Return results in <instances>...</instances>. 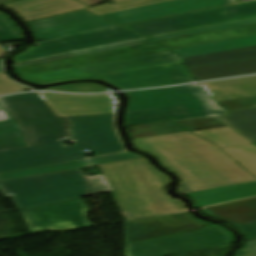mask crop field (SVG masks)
<instances>
[{"label":"crop field","instance_id":"d3111659","mask_svg":"<svg viewBox=\"0 0 256 256\" xmlns=\"http://www.w3.org/2000/svg\"><path fill=\"white\" fill-rule=\"evenodd\" d=\"M222 150L256 175V147L245 145Z\"/></svg>","mask_w":256,"mask_h":256},{"label":"crop field","instance_id":"f4fd0767","mask_svg":"<svg viewBox=\"0 0 256 256\" xmlns=\"http://www.w3.org/2000/svg\"><path fill=\"white\" fill-rule=\"evenodd\" d=\"M231 3L230 0H178L101 16L121 25ZM27 25L32 30L36 42L118 26L86 10Z\"/></svg>","mask_w":256,"mask_h":256},{"label":"crop field","instance_id":"412701ff","mask_svg":"<svg viewBox=\"0 0 256 256\" xmlns=\"http://www.w3.org/2000/svg\"><path fill=\"white\" fill-rule=\"evenodd\" d=\"M100 168L128 219L184 211L182 202L166 195L167 177L144 158Z\"/></svg>","mask_w":256,"mask_h":256},{"label":"crop field","instance_id":"5142ce71","mask_svg":"<svg viewBox=\"0 0 256 256\" xmlns=\"http://www.w3.org/2000/svg\"><path fill=\"white\" fill-rule=\"evenodd\" d=\"M108 0H20L1 6L15 11L24 22L87 9ZM113 2L121 0H111Z\"/></svg>","mask_w":256,"mask_h":256},{"label":"crop field","instance_id":"22f410ed","mask_svg":"<svg viewBox=\"0 0 256 256\" xmlns=\"http://www.w3.org/2000/svg\"><path fill=\"white\" fill-rule=\"evenodd\" d=\"M93 178H86L79 169L37 175L0 182V188L7 197L21 196L50 189L92 183Z\"/></svg>","mask_w":256,"mask_h":256},{"label":"crop field","instance_id":"750c4746","mask_svg":"<svg viewBox=\"0 0 256 256\" xmlns=\"http://www.w3.org/2000/svg\"><path fill=\"white\" fill-rule=\"evenodd\" d=\"M168 1H173V0H125V1L117 2L116 5H103V6L91 8L88 10L97 15H101V14L122 11V10H127V9H132V8L157 4V3L168 2Z\"/></svg>","mask_w":256,"mask_h":256},{"label":"crop field","instance_id":"d32e631a","mask_svg":"<svg viewBox=\"0 0 256 256\" xmlns=\"http://www.w3.org/2000/svg\"><path fill=\"white\" fill-rule=\"evenodd\" d=\"M29 89L30 88L28 87H24L10 81L3 73H0V95Z\"/></svg>","mask_w":256,"mask_h":256},{"label":"crop field","instance_id":"d9b57169","mask_svg":"<svg viewBox=\"0 0 256 256\" xmlns=\"http://www.w3.org/2000/svg\"><path fill=\"white\" fill-rule=\"evenodd\" d=\"M111 191L107 181L87 185L56 189L13 198L18 209L56 203L82 196ZM12 200V201H13Z\"/></svg>","mask_w":256,"mask_h":256},{"label":"crop field","instance_id":"730fd06b","mask_svg":"<svg viewBox=\"0 0 256 256\" xmlns=\"http://www.w3.org/2000/svg\"><path fill=\"white\" fill-rule=\"evenodd\" d=\"M194 133L210 140L211 142L217 144L219 147L238 146L251 143L229 128H219L213 130L198 131Z\"/></svg>","mask_w":256,"mask_h":256},{"label":"crop field","instance_id":"dafd665d","mask_svg":"<svg viewBox=\"0 0 256 256\" xmlns=\"http://www.w3.org/2000/svg\"><path fill=\"white\" fill-rule=\"evenodd\" d=\"M227 116L215 119L249 139L256 142V108L227 112Z\"/></svg>","mask_w":256,"mask_h":256},{"label":"crop field","instance_id":"5866460e","mask_svg":"<svg viewBox=\"0 0 256 256\" xmlns=\"http://www.w3.org/2000/svg\"><path fill=\"white\" fill-rule=\"evenodd\" d=\"M237 256H256V241L246 243Z\"/></svg>","mask_w":256,"mask_h":256},{"label":"crop field","instance_id":"28ad6ade","mask_svg":"<svg viewBox=\"0 0 256 256\" xmlns=\"http://www.w3.org/2000/svg\"><path fill=\"white\" fill-rule=\"evenodd\" d=\"M209 223L193 218L189 213L126 222L125 242L157 238L201 228Z\"/></svg>","mask_w":256,"mask_h":256},{"label":"crop field","instance_id":"c21b1889","mask_svg":"<svg viewBox=\"0 0 256 256\" xmlns=\"http://www.w3.org/2000/svg\"><path fill=\"white\" fill-rule=\"evenodd\" d=\"M0 72H3V71H2V68H1V61H0Z\"/></svg>","mask_w":256,"mask_h":256},{"label":"crop field","instance_id":"cbeb9de0","mask_svg":"<svg viewBox=\"0 0 256 256\" xmlns=\"http://www.w3.org/2000/svg\"><path fill=\"white\" fill-rule=\"evenodd\" d=\"M133 142L135 148L155 157L218 148L190 132L138 138Z\"/></svg>","mask_w":256,"mask_h":256},{"label":"crop field","instance_id":"ac0d7876","mask_svg":"<svg viewBox=\"0 0 256 256\" xmlns=\"http://www.w3.org/2000/svg\"><path fill=\"white\" fill-rule=\"evenodd\" d=\"M39 96L59 117H66L71 139L75 146L62 148L67 161L82 159L84 150L92 149L93 155L123 151V147L113 128V113L116 104L109 94L68 95L41 93ZM64 140V141H68Z\"/></svg>","mask_w":256,"mask_h":256},{"label":"crop field","instance_id":"92a150f3","mask_svg":"<svg viewBox=\"0 0 256 256\" xmlns=\"http://www.w3.org/2000/svg\"><path fill=\"white\" fill-rule=\"evenodd\" d=\"M253 22H256V18L232 22V23H226V24H221V25H216V26H210V27H205V28H200V29H195V30H190V31L150 38V39H143V40H138V41H133V42H128V43L108 46V47H102V48H97V49H91V50L57 55V56H52V57H47V58H41V59H36V60H31V61H26V62H20V63H15L13 65H14V67H16V66L34 64V63L52 61V60H57V59H62V58H68V57H73V56H78V55H83V54H88V53H94V52H99V51H104V50H109V49H114V48H120V47L140 44V43L163 40V39L179 37V36H184V35H189V34H195V33H200V32H205V31H211V30H216V29H221V28H227V27H232V26H237V25H243V24H248V23H253Z\"/></svg>","mask_w":256,"mask_h":256},{"label":"crop field","instance_id":"733c2abd","mask_svg":"<svg viewBox=\"0 0 256 256\" xmlns=\"http://www.w3.org/2000/svg\"><path fill=\"white\" fill-rule=\"evenodd\" d=\"M138 157H141V156H137V155L125 152V153H118V154L94 157L89 159H83L78 161L63 162V163L54 164V165L0 173V181L12 179V178L24 177V176L76 169L84 166H91V165L102 164V163H110V162L134 159Z\"/></svg>","mask_w":256,"mask_h":256},{"label":"crop field","instance_id":"eef30255","mask_svg":"<svg viewBox=\"0 0 256 256\" xmlns=\"http://www.w3.org/2000/svg\"><path fill=\"white\" fill-rule=\"evenodd\" d=\"M224 112H225L224 109H219V110L183 113V114H175V115L130 119V120H126V125L139 124V123H150V122L164 121V120L177 121V120L201 118V117H208V116L225 115Z\"/></svg>","mask_w":256,"mask_h":256},{"label":"crop field","instance_id":"d1516ede","mask_svg":"<svg viewBox=\"0 0 256 256\" xmlns=\"http://www.w3.org/2000/svg\"><path fill=\"white\" fill-rule=\"evenodd\" d=\"M30 231L44 230L45 225L73 220L79 227L91 226L85 218L86 205L79 199L20 210Z\"/></svg>","mask_w":256,"mask_h":256},{"label":"crop field","instance_id":"bc2a9ffb","mask_svg":"<svg viewBox=\"0 0 256 256\" xmlns=\"http://www.w3.org/2000/svg\"><path fill=\"white\" fill-rule=\"evenodd\" d=\"M196 81L256 73V59L190 67Z\"/></svg>","mask_w":256,"mask_h":256},{"label":"crop field","instance_id":"dd49c442","mask_svg":"<svg viewBox=\"0 0 256 256\" xmlns=\"http://www.w3.org/2000/svg\"><path fill=\"white\" fill-rule=\"evenodd\" d=\"M181 178L179 194L256 181V177L220 149L158 157Z\"/></svg>","mask_w":256,"mask_h":256},{"label":"crop field","instance_id":"bd1437ed","mask_svg":"<svg viewBox=\"0 0 256 256\" xmlns=\"http://www.w3.org/2000/svg\"><path fill=\"white\" fill-rule=\"evenodd\" d=\"M23 40L19 28L4 14H0V43Z\"/></svg>","mask_w":256,"mask_h":256},{"label":"crop field","instance_id":"00972430","mask_svg":"<svg viewBox=\"0 0 256 256\" xmlns=\"http://www.w3.org/2000/svg\"><path fill=\"white\" fill-rule=\"evenodd\" d=\"M0 112L6 118L0 121V151L26 146L20 123L1 102Z\"/></svg>","mask_w":256,"mask_h":256},{"label":"crop field","instance_id":"4177f3b9","mask_svg":"<svg viewBox=\"0 0 256 256\" xmlns=\"http://www.w3.org/2000/svg\"><path fill=\"white\" fill-rule=\"evenodd\" d=\"M256 58V47L184 59L185 67Z\"/></svg>","mask_w":256,"mask_h":256},{"label":"crop field","instance_id":"1d83c4d3","mask_svg":"<svg viewBox=\"0 0 256 256\" xmlns=\"http://www.w3.org/2000/svg\"><path fill=\"white\" fill-rule=\"evenodd\" d=\"M44 90H52V91H60V92H75V93H95V92L112 91L102 85L89 84V83L70 84L66 86L48 88Z\"/></svg>","mask_w":256,"mask_h":256},{"label":"crop field","instance_id":"0bd39190","mask_svg":"<svg viewBox=\"0 0 256 256\" xmlns=\"http://www.w3.org/2000/svg\"><path fill=\"white\" fill-rule=\"evenodd\" d=\"M6 52H8V51H6V50H4V49H2V48L0 47V59H1V55L4 54V53H6Z\"/></svg>","mask_w":256,"mask_h":256},{"label":"crop field","instance_id":"e1f06a70","mask_svg":"<svg viewBox=\"0 0 256 256\" xmlns=\"http://www.w3.org/2000/svg\"><path fill=\"white\" fill-rule=\"evenodd\" d=\"M76 226L73 224L72 221L57 223L53 225L46 226L45 230H68V229H75Z\"/></svg>","mask_w":256,"mask_h":256},{"label":"crop field","instance_id":"4a817a6b","mask_svg":"<svg viewBox=\"0 0 256 256\" xmlns=\"http://www.w3.org/2000/svg\"><path fill=\"white\" fill-rule=\"evenodd\" d=\"M216 101L256 96V76L200 84Z\"/></svg>","mask_w":256,"mask_h":256},{"label":"crop field","instance_id":"a9b5d70f","mask_svg":"<svg viewBox=\"0 0 256 256\" xmlns=\"http://www.w3.org/2000/svg\"><path fill=\"white\" fill-rule=\"evenodd\" d=\"M256 46V36L173 50L183 58Z\"/></svg>","mask_w":256,"mask_h":256},{"label":"crop field","instance_id":"34b2d1b8","mask_svg":"<svg viewBox=\"0 0 256 256\" xmlns=\"http://www.w3.org/2000/svg\"><path fill=\"white\" fill-rule=\"evenodd\" d=\"M0 101L22 124L27 143V147L0 152V172L65 161L57 141L67 137L63 118H56L35 93Z\"/></svg>","mask_w":256,"mask_h":256},{"label":"crop field","instance_id":"028f5c9d","mask_svg":"<svg viewBox=\"0 0 256 256\" xmlns=\"http://www.w3.org/2000/svg\"><path fill=\"white\" fill-rule=\"evenodd\" d=\"M239 230L245 235L246 238L256 237V223L237 226Z\"/></svg>","mask_w":256,"mask_h":256},{"label":"crop field","instance_id":"c035e120","mask_svg":"<svg viewBox=\"0 0 256 256\" xmlns=\"http://www.w3.org/2000/svg\"><path fill=\"white\" fill-rule=\"evenodd\" d=\"M4 116L0 113V120H4Z\"/></svg>","mask_w":256,"mask_h":256},{"label":"crop field","instance_id":"3316defc","mask_svg":"<svg viewBox=\"0 0 256 256\" xmlns=\"http://www.w3.org/2000/svg\"><path fill=\"white\" fill-rule=\"evenodd\" d=\"M126 93L130 99L127 112L214 102L198 84Z\"/></svg>","mask_w":256,"mask_h":256},{"label":"crop field","instance_id":"d8731c3e","mask_svg":"<svg viewBox=\"0 0 256 256\" xmlns=\"http://www.w3.org/2000/svg\"><path fill=\"white\" fill-rule=\"evenodd\" d=\"M233 243L231 233L215 224L195 232L128 244L125 256H168Z\"/></svg>","mask_w":256,"mask_h":256},{"label":"crop field","instance_id":"8a807250","mask_svg":"<svg viewBox=\"0 0 256 256\" xmlns=\"http://www.w3.org/2000/svg\"><path fill=\"white\" fill-rule=\"evenodd\" d=\"M37 83L66 79L97 78L122 89H137L194 81L181 58L170 51L153 53L79 67L21 76Z\"/></svg>","mask_w":256,"mask_h":256},{"label":"crop field","instance_id":"5a996713","mask_svg":"<svg viewBox=\"0 0 256 256\" xmlns=\"http://www.w3.org/2000/svg\"><path fill=\"white\" fill-rule=\"evenodd\" d=\"M143 37L125 30L123 27L103 29L66 38L39 42L40 46L31 47L28 51L13 58V63L68 52L108 46Z\"/></svg>","mask_w":256,"mask_h":256},{"label":"crop field","instance_id":"ae1a2a85","mask_svg":"<svg viewBox=\"0 0 256 256\" xmlns=\"http://www.w3.org/2000/svg\"><path fill=\"white\" fill-rule=\"evenodd\" d=\"M221 108L216 103L127 113L126 119Z\"/></svg>","mask_w":256,"mask_h":256},{"label":"crop field","instance_id":"b80d0937","mask_svg":"<svg viewBox=\"0 0 256 256\" xmlns=\"http://www.w3.org/2000/svg\"><path fill=\"white\" fill-rule=\"evenodd\" d=\"M4 3H7V1H5V0H0V5H1V4H4Z\"/></svg>","mask_w":256,"mask_h":256},{"label":"crop field","instance_id":"214f88e0","mask_svg":"<svg viewBox=\"0 0 256 256\" xmlns=\"http://www.w3.org/2000/svg\"><path fill=\"white\" fill-rule=\"evenodd\" d=\"M210 216L234 226L256 222V198L205 209Z\"/></svg>","mask_w":256,"mask_h":256},{"label":"crop field","instance_id":"e52e79f7","mask_svg":"<svg viewBox=\"0 0 256 256\" xmlns=\"http://www.w3.org/2000/svg\"><path fill=\"white\" fill-rule=\"evenodd\" d=\"M231 11L232 14L222 15ZM256 17V0L123 26L145 38Z\"/></svg>","mask_w":256,"mask_h":256},{"label":"crop field","instance_id":"120bbe31","mask_svg":"<svg viewBox=\"0 0 256 256\" xmlns=\"http://www.w3.org/2000/svg\"><path fill=\"white\" fill-rule=\"evenodd\" d=\"M230 246L231 244L206 250L177 254L176 256H225Z\"/></svg>","mask_w":256,"mask_h":256}]
</instances>
